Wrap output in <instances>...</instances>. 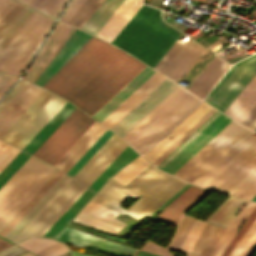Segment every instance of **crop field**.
<instances>
[{
	"label": "crop field",
	"instance_id": "crop-field-25",
	"mask_svg": "<svg viewBox=\"0 0 256 256\" xmlns=\"http://www.w3.org/2000/svg\"><path fill=\"white\" fill-rule=\"evenodd\" d=\"M97 122V121H96ZM94 123L89 130L76 142V144L62 157L55 165L64 171H68L72 165L86 152V150L99 138L107 129L98 123ZM65 172V173H66Z\"/></svg>",
	"mask_w": 256,
	"mask_h": 256
},
{
	"label": "crop field",
	"instance_id": "crop-field-5",
	"mask_svg": "<svg viewBox=\"0 0 256 256\" xmlns=\"http://www.w3.org/2000/svg\"><path fill=\"white\" fill-rule=\"evenodd\" d=\"M31 156L0 189V231L57 171Z\"/></svg>",
	"mask_w": 256,
	"mask_h": 256
},
{
	"label": "crop field",
	"instance_id": "crop-field-19",
	"mask_svg": "<svg viewBox=\"0 0 256 256\" xmlns=\"http://www.w3.org/2000/svg\"><path fill=\"white\" fill-rule=\"evenodd\" d=\"M44 91L27 83L0 112V137Z\"/></svg>",
	"mask_w": 256,
	"mask_h": 256
},
{
	"label": "crop field",
	"instance_id": "crop-field-33",
	"mask_svg": "<svg viewBox=\"0 0 256 256\" xmlns=\"http://www.w3.org/2000/svg\"><path fill=\"white\" fill-rule=\"evenodd\" d=\"M256 203L247 202V204L242 208V210L237 214V216L232 220L229 226L224 231L223 235L217 242L216 246L212 250L209 256H220L232 237L237 232L239 226L244 221V219L249 215V213L255 208Z\"/></svg>",
	"mask_w": 256,
	"mask_h": 256
},
{
	"label": "crop field",
	"instance_id": "crop-field-17",
	"mask_svg": "<svg viewBox=\"0 0 256 256\" xmlns=\"http://www.w3.org/2000/svg\"><path fill=\"white\" fill-rule=\"evenodd\" d=\"M74 30L75 28L63 22H58L56 28L37 55L31 68L25 74L24 79L33 82Z\"/></svg>",
	"mask_w": 256,
	"mask_h": 256
},
{
	"label": "crop field",
	"instance_id": "crop-field-14",
	"mask_svg": "<svg viewBox=\"0 0 256 256\" xmlns=\"http://www.w3.org/2000/svg\"><path fill=\"white\" fill-rule=\"evenodd\" d=\"M115 135L113 134L107 140V142L94 154V156L73 178L87 187L94 181V179L127 145Z\"/></svg>",
	"mask_w": 256,
	"mask_h": 256
},
{
	"label": "crop field",
	"instance_id": "crop-field-69",
	"mask_svg": "<svg viewBox=\"0 0 256 256\" xmlns=\"http://www.w3.org/2000/svg\"><path fill=\"white\" fill-rule=\"evenodd\" d=\"M256 184V181L246 190L244 191L240 196L239 198H241L248 190H250L254 185Z\"/></svg>",
	"mask_w": 256,
	"mask_h": 256
},
{
	"label": "crop field",
	"instance_id": "crop-field-70",
	"mask_svg": "<svg viewBox=\"0 0 256 256\" xmlns=\"http://www.w3.org/2000/svg\"><path fill=\"white\" fill-rule=\"evenodd\" d=\"M71 256H87V255H83V254H79L71 251Z\"/></svg>",
	"mask_w": 256,
	"mask_h": 256
},
{
	"label": "crop field",
	"instance_id": "crop-field-75",
	"mask_svg": "<svg viewBox=\"0 0 256 256\" xmlns=\"http://www.w3.org/2000/svg\"><path fill=\"white\" fill-rule=\"evenodd\" d=\"M253 201H256V196L252 199Z\"/></svg>",
	"mask_w": 256,
	"mask_h": 256
},
{
	"label": "crop field",
	"instance_id": "crop-field-29",
	"mask_svg": "<svg viewBox=\"0 0 256 256\" xmlns=\"http://www.w3.org/2000/svg\"><path fill=\"white\" fill-rule=\"evenodd\" d=\"M138 155L139 154L127 145L88 188L97 192L113 174Z\"/></svg>",
	"mask_w": 256,
	"mask_h": 256
},
{
	"label": "crop field",
	"instance_id": "crop-field-63",
	"mask_svg": "<svg viewBox=\"0 0 256 256\" xmlns=\"http://www.w3.org/2000/svg\"><path fill=\"white\" fill-rule=\"evenodd\" d=\"M67 251H69V249H68L67 246H65V247H63V248H61V249H59V250H57V251H55V252H53V253L47 255V256H59V255L65 253V252H67Z\"/></svg>",
	"mask_w": 256,
	"mask_h": 256
},
{
	"label": "crop field",
	"instance_id": "crop-field-41",
	"mask_svg": "<svg viewBox=\"0 0 256 256\" xmlns=\"http://www.w3.org/2000/svg\"><path fill=\"white\" fill-rule=\"evenodd\" d=\"M193 221H194L193 218H189L185 216L183 217L169 247L179 249Z\"/></svg>",
	"mask_w": 256,
	"mask_h": 256
},
{
	"label": "crop field",
	"instance_id": "crop-field-71",
	"mask_svg": "<svg viewBox=\"0 0 256 256\" xmlns=\"http://www.w3.org/2000/svg\"><path fill=\"white\" fill-rule=\"evenodd\" d=\"M202 34H204V33H202L201 31L200 32H198L197 34H195L192 38H197V37H199V36H201Z\"/></svg>",
	"mask_w": 256,
	"mask_h": 256
},
{
	"label": "crop field",
	"instance_id": "crop-field-52",
	"mask_svg": "<svg viewBox=\"0 0 256 256\" xmlns=\"http://www.w3.org/2000/svg\"><path fill=\"white\" fill-rule=\"evenodd\" d=\"M224 230H225L224 227L218 226L215 233L211 237L210 241L208 242V244L204 248L203 252L201 253L202 256H208L209 255V253L213 249L214 245L216 244V242L218 241V239L220 238V236H221V234L223 233Z\"/></svg>",
	"mask_w": 256,
	"mask_h": 256
},
{
	"label": "crop field",
	"instance_id": "crop-field-61",
	"mask_svg": "<svg viewBox=\"0 0 256 256\" xmlns=\"http://www.w3.org/2000/svg\"><path fill=\"white\" fill-rule=\"evenodd\" d=\"M17 80V78L12 77L6 85L0 90V98L2 95L14 84V82Z\"/></svg>",
	"mask_w": 256,
	"mask_h": 256
},
{
	"label": "crop field",
	"instance_id": "crop-field-22",
	"mask_svg": "<svg viewBox=\"0 0 256 256\" xmlns=\"http://www.w3.org/2000/svg\"><path fill=\"white\" fill-rule=\"evenodd\" d=\"M208 192V190L191 185L165 207L156 220L177 226L182 214Z\"/></svg>",
	"mask_w": 256,
	"mask_h": 256
},
{
	"label": "crop field",
	"instance_id": "crop-field-51",
	"mask_svg": "<svg viewBox=\"0 0 256 256\" xmlns=\"http://www.w3.org/2000/svg\"><path fill=\"white\" fill-rule=\"evenodd\" d=\"M143 249V248H142ZM143 251H147L150 253H154L161 256H172L167 248L160 246L156 243L149 241L147 245L144 247Z\"/></svg>",
	"mask_w": 256,
	"mask_h": 256
},
{
	"label": "crop field",
	"instance_id": "crop-field-35",
	"mask_svg": "<svg viewBox=\"0 0 256 256\" xmlns=\"http://www.w3.org/2000/svg\"><path fill=\"white\" fill-rule=\"evenodd\" d=\"M52 18H57L67 0H18Z\"/></svg>",
	"mask_w": 256,
	"mask_h": 256
},
{
	"label": "crop field",
	"instance_id": "crop-field-46",
	"mask_svg": "<svg viewBox=\"0 0 256 256\" xmlns=\"http://www.w3.org/2000/svg\"><path fill=\"white\" fill-rule=\"evenodd\" d=\"M256 218V208L250 213V215L246 218L245 222L241 226V228L238 230L234 238L231 240L225 251L221 256H227L231 249L234 247V245L237 243V241L240 239V237L244 234V232L247 230V228L251 225V223Z\"/></svg>",
	"mask_w": 256,
	"mask_h": 256
},
{
	"label": "crop field",
	"instance_id": "crop-field-60",
	"mask_svg": "<svg viewBox=\"0 0 256 256\" xmlns=\"http://www.w3.org/2000/svg\"><path fill=\"white\" fill-rule=\"evenodd\" d=\"M17 2L11 1L1 12H0V19L4 17L15 5Z\"/></svg>",
	"mask_w": 256,
	"mask_h": 256
},
{
	"label": "crop field",
	"instance_id": "crop-field-45",
	"mask_svg": "<svg viewBox=\"0 0 256 256\" xmlns=\"http://www.w3.org/2000/svg\"><path fill=\"white\" fill-rule=\"evenodd\" d=\"M55 242L57 241L50 240V239H42V238H30L17 245L35 253Z\"/></svg>",
	"mask_w": 256,
	"mask_h": 256
},
{
	"label": "crop field",
	"instance_id": "crop-field-21",
	"mask_svg": "<svg viewBox=\"0 0 256 256\" xmlns=\"http://www.w3.org/2000/svg\"><path fill=\"white\" fill-rule=\"evenodd\" d=\"M117 215L118 213L90 201L73 221L116 234L126 225L114 218Z\"/></svg>",
	"mask_w": 256,
	"mask_h": 256
},
{
	"label": "crop field",
	"instance_id": "crop-field-15",
	"mask_svg": "<svg viewBox=\"0 0 256 256\" xmlns=\"http://www.w3.org/2000/svg\"><path fill=\"white\" fill-rule=\"evenodd\" d=\"M256 165V141L206 188L225 194Z\"/></svg>",
	"mask_w": 256,
	"mask_h": 256
},
{
	"label": "crop field",
	"instance_id": "crop-field-6",
	"mask_svg": "<svg viewBox=\"0 0 256 256\" xmlns=\"http://www.w3.org/2000/svg\"><path fill=\"white\" fill-rule=\"evenodd\" d=\"M244 130V127L231 120L181 168H179L174 175L189 181ZM250 133L251 131L246 129L189 182L195 184Z\"/></svg>",
	"mask_w": 256,
	"mask_h": 256
},
{
	"label": "crop field",
	"instance_id": "crop-field-13",
	"mask_svg": "<svg viewBox=\"0 0 256 256\" xmlns=\"http://www.w3.org/2000/svg\"><path fill=\"white\" fill-rule=\"evenodd\" d=\"M177 86L165 78L110 129L122 138Z\"/></svg>",
	"mask_w": 256,
	"mask_h": 256
},
{
	"label": "crop field",
	"instance_id": "crop-field-67",
	"mask_svg": "<svg viewBox=\"0 0 256 256\" xmlns=\"http://www.w3.org/2000/svg\"><path fill=\"white\" fill-rule=\"evenodd\" d=\"M11 0H0V11L10 2Z\"/></svg>",
	"mask_w": 256,
	"mask_h": 256
},
{
	"label": "crop field",
	"instance_id": "crop-field-65",
	"mask_svg": "<svg viewBox=\"0 0 256 256\" xmlns=\"http://www.w3.org/2000/svg\"><path fill=\"white\" fill-rule=\"evenodd\" d=\"M11 245H12V244H10V243H8V242H6V241L0 239V250L5 249V248H7V247H9V246H11Z\"/></svg>",
	"mask_w": 256,
	"mask_h": 256
},
{
	"label": "crop field",
	"instance_id": "crop-field-23",
	"mask_svg": "<svg viewBox=\"0 0 256 256\" xmlns=\"http://www.w3.org/2000/svg\"><path fill=\"white\" fill-rule=\"evenodd\" d=\"M204 48L190 38L161 73L177 82Z\"/></svg>",
	"mask_w": 256,
	"mask_h": 256
},
{
	"label": "crop field",
	"instance_id": "crop-field-1",
	"mask_svg": "<svg viewBox=\"0 0 256 256\" xmlns=\"http://www.w3.org/2000/svg\"><path fill=\"white\" fill-rule=\"evenodd\" d=\"M145 66L93 36L44 88L92 116Z\"/></svg>",
	"mask_w": 256,
	"mask_h": 256
},
{
	"label": "crop field",
	"instance_id": "crop-field-64",
	"mask_svg": "<svg viewBox=\"0 0 256 256\" xmlns=\"http://www.w3.org/2000/svg\"><path fill=\"white\" fill-rule=\"evenodd\" d=\"M11 78V76H8L4 74L2 78L0 79V89L5 85V83Z\"/></svg>",
	"mask_w": 256,
	"mask_h": 256
},
{
	"label": "crop field",
	"instance_id": "crop-field-54",
	"mask_svg": "<svg viewBox=\"0 0 256 256\" xmlns=\"http://www.w3.org/2000/svg\"><path fill=\"white\" fill-rule=\"evenodd\" d=\"M26 84L24 81H20L12 91L0 102V111L4 106L19 92V90Z\"/></svg>",
	"mask_w": 256,
	"mask_h": 256
},
{
	"label": "crop field",
	"instance_id": "crop-field-76",
	"mask_svg": "<svg viewBox=\"0 0 256 256\" xmlns=\"http://www.w3.org/2000/svg\"><path fill=\"white\" fill-rule=\"evenodd\" d=\"M253 130H256V125H255V127L253 128Z\"/></svg>",
	"mask_w": 256,
	"mask_h": 256
},
{
	"label": "crop field",
	"instance_id": "crop-field-12",
	"mask_svg": "<svg viewBox=\"0 0 256 256\" xmlns=\"http://www.w3.org/2000/svg\"><path fill=\"white\" fill-rule=\"evenodd\" d=\"M230 120L217 111L157 167L173 174Z\"/></svg>",
	"mask_w": 256,
	"mask_h": 256
},
{
	"label": "crop field",
	"instance_id": "crop-field-73",
	"mask_svg": "<svg viewBox=\"0 0 256 256\" xmlns=\"http://www.w3.org/2000/svg\"><path fill=\"white\" fill-rule=\"evenodd\" d=\"M172 250H174V249H172ZM183 253H185V252H183ZM185 254H187V256H196V255H192V254H188V253H185Z\"/></svg>",
	"mask_w": 256,
	"mask_h": 256
},
{
	"label": "crop field",
	"instance_id": "crop-field-50",
	"mask_svg": "<svg viewBox=\"0 0 256 256\" xmlns=\"http://www.w3.org/2000/svg\"><path fill=\"white\" fill-rule=\"evenodd\" d=\"M19 152V150L5 145L0 150V171L13 159V157Z\"/></svg>",
	"mask_w": 256,
	"mask_h": 256
},
{
	"label": "crop field",
	"instance_id": "crop-field-42",
	"mask_svg": "<svg viewBox=\"0 0 256 256\" xmlns=\"http://www.w3.org/2000/svg\"><path fill=\"white\" fill-rule=\"evenodd\" d=\"M255 180H256V166L247 175H245L233 188H231L226 194L238 197Z\"/></svg>",
	"mask_w": 256,
	"mask_h": 256
},
{
	"label": "crop field",
	"instance_id": "crop-field-74",
	"mask_svg": "<svg viewBox=\"0 0 256 256\" xmlns=\"http://www.w3.org/2000/svg\"><path fill=\"white\" fill-rule=\"evenodd\" d=\"M22 256H32V255H30V254H24V255H22Z\"/></svg>",
	"mask_w": 256,
	"mask_h": 256
},
{
	"label": "crop field",
	"instance_id": "crop-field-38",
	"mask_svg": "<svg viewBox=\"0 0 256 256\" xmlns=\"http://www.w3.org/2000/svg\"><path fill=\"white\" fill-rule=\"evenodd\" d=\"M149 164L150 163L139 156L112 178L125 185Z\"/></svg>",
	"mask_w": 256,
	"mask_h": 256
},
{
	"label": "crop field",
	"instance_id": "crop-field-34",
	"mask_svg": "<svg viewBox=\"0 0 256 256\" xmlns=\"http://www.w3.org/2000/svg\"><path fill=\"white\" fill-rule=\"evenodd\" d=\"M94 194L87 188L43 236L54 238Z\"/></svg>",
	"mask_w": 256,
	"mask_h": 256
},
{
	"label": "crop field",
	"instance_id": "crop-field-68",
	"mask_svg": "<svg viewBox=\"0 0 256 256\" xmlns=\"http://www.w3.org/2000/svg\"><path fill=\"white\" fill-rule=\"evenodd\" d=\"M225 39V37H222V38H220L219 40H217L216 42H214L212 45H210L209 47H207V48H212L213 46H215L216 44H218L219 42H221L222 40H224Z\"/></svg>",
	"mask_w": 256,
	"mask_h": 256
},
{
	"label": "crop field",
	"instance_id": "crop-field-53",
	"mask_svg": "<svg viewBox=\"0 0 256 256\" xmlns=\"http://www.w3.org/2000/svg\"><path fill=\"white\" fill-rule=\"evenodd\" d=\"M84 1L85 0H72L62 15L61 20L67 22Z\"/></svg>",
	"mask_w": 256,
	"mask_h": 256
},
{
	"label": "crop field",
	"instance_id": "crop-field-36",
	"mask_svg": "<svg viewBox=\"0 0 256 256\" xmlns=\"http://www.w3.org/2000/svg\"><path fill=\"white\" fill-rule=\"evenodd\" d=\"M62 174L63 173L58 170L52 176V178L37 192V194L22 208V210L7 224V226L0 232V234L4 236Z\"/></svg>",
	"mask_w": 256,
	"mask_h": 256
},
{
	"label": "crop field",
	"instance_id": "crop-field-72",
	"mask_svg": "<svg viewBox=\"0 0 256 256\" xmlns=\"http://www.w3.org/2000/svg\"><path fill=\"white\" fill-rule=\"evenodd\" d=\"M6 143L0 141V149L5 145Z\"/></svg>",
	"mask_w": 256,
	"mask_h": 256
},
{
	"label": "crop field",
	"instance_id": "crop-field-2",
	"mask_svg": "<svg viewBox=\"0 0 256 256\" xmlns=\"http://www.w3.org/2000/svg\"><path fill=\"white\" fill-rule=\"evenodd\" d=\"M184 182L150 164L125 186L111 178L92 201L121 214L125 212L140 219L144 214L150 216L156 211L186 185L187 182ZM127 197L132 200L140 198L126 210L119 205Z\"/></svg>",
	"mask_w": 256,
	"mask_h": 256
},
{
	"label": "crop field",
	"instance_id": "crop-field-55",
	"mask_svg": "<svg viewBox=\"0 0 256 256\" xmlns=\"http://www.w3.org/2000/svg\"><path fill=\"white\" fill-rule=\"evenodd\" d=\"M249 128H253L256 124V106L254 109L249 113V115L244 119V121L241 123Z\"/></svg>",
	"mask_w": 256,
	"mask_h": 256
},
{
	"label": "crop field",
	"instance_id": "crop-field-56",
	"mask_svg": "<svg viewBox=\"0 0 256 256\" xmlns=\"http://www.w3.org/2000/svg\"><path fill=\"white\" fill-rule=\"evenodd\" d=\"M23 5L17 4L4 18L0 20V28L9 20L11 19L21 8Z\"/></svg>",
	"mask_w": 256,
	"mask_h": 256
},
{
	"label": "crop field",
	"instance_id": "crop-field-24",
	"mask_svg": "<svg viewBox=\"0 0 256 256\" xmlns=\"http://www.w3.org/2000/svg\"><path fill=\"white\" fill-rule=\"evenodd\" d=\"M70 179L63 174L4 237L13 241Z\"/></svg>",
	"mask_w": 256,
	"mask_h": 256
},
{
	"label": "crop field",
	"instance_id": "crop-field-59",
	"mask_svg": "<svg viewBox=\"0 0 256 256\" xmlns=\"http://www.w3.org/2000/svg\"><path fill=\"white\" fill-rule=\"evenodd\" d=\"M25 252L24 250L14 246L8 250H5L3 252L0 253V256H17L21 253Z\"/></svg>",
	"mask_w": 256,
	"mask_h": 256
},
{
	"label": "crop field",
	"instance_id": "crop-field-3",
	"mask_svg": "<svg viewBox=\"0 0 256 256\" xmlns=\"http://www.w3.org/2000/svg\"><path fill=\"white\" fill-rule=\"evenodd\" d=\"M181 34L163 22L160 10L142 5L112 44L153 68Z\"/></svg>",
	"mask_w": 256,
	"mask_h": 256
},
{
	"label": "crop field",
	"instance_id": "crop-field-20",
	"mask_svg": "<svg viewBox=\"0 0 256 256\" xmlns=\"http://www.w3.org/2000/svg\"><path fill=\"white\" fill-rule=\"evenodd\" d=\"M212 108L213 107L202 102L162 140H160L150 151H148L144 157L153 163Z\"/></svg>",
	"mask_w": 256,
	"mask_h": 256
},
{
	"label": "crop field",
	"instance_id": "crop-field-39",
	"mask_svg": "<svg viewBox=\"0 0 256 256\" xmlns=\"http://www.w3.org/2000/svg\"><path fill=\"white\" fill-rule=\"evenodd\" d=\"M112 134L113 132L107 129L66 174L73 177Z\"/></svg>",
	"mask_w": 256,
	"mask_h": 256
},
{
	"label": "crop field",
	"instance_id": "crop-field-9",
	"mask_svg": "<svg viewBox=\"0 0 256 256\" xmlns=\"http://www.w3.org/2000/svg\"><path fill=\"white\" fill-rule=\"evenodd\" d=\"M95 121L76 108L32 155L54 165Z\"/></svg>",
	"mask_w": 256,
	"mask_h": 256
},
{
	"label": "crop field",
	"instance_id": "crop-field-10",
	"mask_svg": "<svg viewBox=\"0 0 256 256\" xmlns=\"http://www.w3.org/2000/svg\"><path fill=\"white\" fill-rule=\"evenodd\" d=\"M255 74L256 55L233 65L205 100L224 112Z\"/></svg>",
	"mask_w": 256,
	"mask_h": 256
},
{
	"label": "crop field",
	"instance_id": "crop-field-30",
	"mask_svg": "<svg viewBox=\"0 0 256 256\" xmlns=\"http://www.w3.org/2000/svg\"><path fill=\"white\" fill-rule=\"evenodd\" d=\"M123 1L124 0H105L85 23L82 29L96 35Z\"/></svg>",
	"mask_w": 256,
	"mask_h": 256
},
{
	"label": "crop field",
	"instance_id": "crop-field-32",
	"mask_svg": "<svg viewBox=\"0 0 256 256\" xmlns=\"http://www.w3.org/2000/svg\"><path fill=\"white\" fill-rule=\"evenodd\" d=\"M36 11L24 6L10 21L0 29V51L30 20Z\"/></svg>",
	"mask_w": 256,
	"mask_h": 256
},
{
	"label": "crop field",
	"instance_id": "crop-field-66",
	"mask_svg": "<svg viewBox=\"0 0 256 256\" xmlns=\"http://www.w3.org/2000/svg\"><path fill=\"white\" fill-rule=\"evenodd\" d=\"M256 234V230L254 231V233L249 237V239L244 243V245L241 247V249L238 251V253L236 254V256H239V254L241 253V251L243 250V248L247 245V243L252 239V237Z\"/></svg>",
	"mask_w": 256,
	"mask_h": 256
},
{
	"label": "crop field",
	"instance_id": "crop-field-49",
	"mask_svg": "<svg viewBox=\"0 0 256 256\" xmlns=\"http://www.w3.org/2000/svg\"><path fill=\"white\" fill-rule=\"evenodd\" d=\"M246 200L238 199L235 204L228 210V212L220 219L217 225L225 226L231 222L235 214L241 209V207L246 203Z\"/></svg>",
	"mask_w": 256,
	"mask_h": 256
},
{
	"label": "crop field",
	"instance_id": "crop-field-7",
	"mask_svg": "<svg viewBox=\"0 0 256 256\" xmlns=\"http://www.w3.org/2000/svg\"><path fill=\"white\" fill-rule=\"evenodd\" d=\"M53 21L37 12L0 52V71L19 77Z\"/></svg>",
	"mask_w": 256,
	"mask_h": 256
},
{
	"label": "crop field",
	"instance_id": "crop-field-44",
	"mask_svg": "<svg viewBox=\"0 0 256 256\" xmlns=\"http://www.w3.org/2000/svg\"><path fill=\"white\" fill-rule=\"evenodd\" d=\"M216 228V225L206 223L199 238L197 239L195 245L193 246L191 253L200 255V253L202 252L203 248L207 244L208 240L210 239Z\"/></svg>",
	"mask_w": 256,
	"mask_h": 256
},
{
	"label": "crop field",
	"instance_id": "crop-field-4",
	"mask_svg": "<svg viewBox=\"0 0 256 256\" xmlns=\"http://www.w3.org/2000/svg\"><path fill=\"white\" fill-rule=\"evenodd\" d=\"M184 91L178 86L122 139L143 154L201 101Z\"/></svg>",
	"mask_w": 256,
	"mask_h": 256
},
{
	"label": "crop field",
	"instance_id": "crop-field-16",
	"mask_svg": "<svg viewBox=\"0 0 256 256\" xmlns=\"http://www.w3.org/2000/svg\"><path fill=\"white\" fill-rule=\"evenodd\" d=\"M73 229L65 227L55 239L120 256H135L138 252V249L124 246Z\"/></svg>",
	"mask_w": 256,
	"mask_h": 256
},
{
	"label": "crop field",
	"instance_id": "crop-field-8",
	"mask_svg": "<svg viewBox=\"0 0 256 256\" xmlns=\"http://www.w3.org/2000/svg\"><path fill=\"white\" fill-rule=\"evenodd\" d=\"M65 102L45 90L0 139L22 149Z\"/></svg>",
	"mask_w": 256,
	"mask_h": 256
},
{
	"label": "crop field",
	"instance_id": "crop-field-58",
	"mask_svg": "<svg viewBox=\"0 0 256 256\" xmlns=\"http://www.w3.org/2000/svg\"><path fill=\"white\" fill-rule=\"evenodd\" d=\"M63 246H64L63 244L57 242V243H55V244H53V245H51V246H49V247H47V248L37 252L35 254H37L38 256H45V255H47V254H49V253H51V252H53V251L63 247Z\"/></svg>",
	"mask_w": 256,
	"mask_h": 256
},
{
	"label": "crop field",
	"instance_id": "crop-field-43",
	"mask_svg": "<svg viewBox=\"0 0 256 256\" xmlns=\"http://www.w3.org/2000/svg\"><path fill=\"white\" fill-rule=\"evenodd\" d=\"M217 110L214 108L206 114L196 125H194L184 136H182L172 147H170L160 158H158L153 164L156 166L164 160L174 149H176L186 138H188L198 127H200L210 116H212Z\"/></svg>",
	"mask_w": 256,
	"mask_h": 256
},
{
	"label": "crop field",
	"instance_id": "crop-field-26",
	"mask_svg": "<svg viewBox=\"0 0 256 256\" xmlns=\"http://www.w3.org/2000/svg\"><path fill=\"white\" fill-rule=\"evenodd\" d=\"M154 72V70L146 66L92 117L101 122Z\"/></svg>",
	"mask_w": 256,
	"mask_h": 256
},
{
	"label": "crop field",
	"instance_id": "crop-field-31",
	"mask_svg": "<svg viewBox=\"0 0 256 256\" xmlns=\"http://www.w3.org/2000/svg\"><path fill=\"white\" fill-rule=\"evenodd\" d=\"M255 140H256V133L252 132L236 148H234L224 159H222L213 169H211L201 180H199L196 183V185L200 184L203 187H205L221 171H223L233 160H235L244 150H246Z\"/></svg>",
	"mask_w": 256,
	"mask_h": 256
},
{
	"label": "crop field",
	"instance_id": "crop-field-11",
	"mask_svg": "<svg viewBox=\"0 0 256 256\" xmlns=\"http://www.w3.org/2000/svg\"><path fill=\"white\" fill-rule=\"evenodd\" d=\"M85 189V186L71 179L14 242L27 237L42 236Z\"/></svg>",
	"mask_w": 256,
	"mask_h": 256
},
{
	"label": "crop field",
	"instance_id": "crop-field-37",
	"mask_svg": "<svg viewBox=\"0 0 256 256\" xmlns=\"http://www.w3.org/2000/svg\"><path fill=\"white\" fill-rule=\"evenodd\" d=\"M103 1L104 0H86L70 18L68 23L81 28Z\"/></svg>",
	"mask_w": 256,
	"mask_h": 256
},
{
	"label": "crop field",
	"instance_id": "crop-field-27",
	"mask_svg": "<svg viewBox=\"0 0 256 256\" xmlns=\"http://www.w3.org/2000/svg\"><path fill=\"white\" fill-rule=\"evenodd\" d=\"M256 105V75L232 102V104L224 112L238 122L243 119Z\"/></svg>",
	"mask_w": 256,
	"mask_h": 256
},
{
	"label": "crop field",
	"instance_id": "crop-field-57",
	"mask_svg": "<svg viewBox=\"0 0 256 256\" xmlns=\"http://www.w3.org/2000/svg\"><path fill=\"white\" fill-rule=\"evenodd\" d=\"M256 248V235L253 237V239L248 243V245L244 248L240 256H250V254L254 251Z\"/></svg>",
	"mask_w": 256,
	"mask_h": 256
},
{
	"label": "crop field",
	"instance_id": "crop-field-48",
	"mask_svg": "<svg viewBox=\"0 0 256 256\" xmlns=\"http://www.w3.org/2000/svg\"><path fill=\"white\" fill-rule=\"evenodd\" d=\"M183 45L184 43L177 40L175 44L169 49V51L156 64L154 69L161 72L163 68L169 63V61L175 56V54L181 49Z\"/></svg>",
	"mask_w": 256,
	"mask_h": 256
},
{
	"label": "crop field",
	"instance_id": "crop-field-28",
	"mask_svg": "<svg viewBox=\"0 0 256 256\" xmlns=\"http://www.w3.org/2000/svg\"><path fill=\"white\" fill-rule=\"evenodd\" d=\"M75 108L76 107L66 102L45 124V126L30 140L23 150L32 154Z\"/></svg>",
	"mask_w": 256,
	"mask_h": 256
},
{
	"label": "crop field",
	"instance_id": "crop-field-78",
	"mask_svg": "<svg viewBox=\"0 0 256 256\" xmlns=\"http://www.w3.org/2000/svg\"><path fill=\"white\" fill-rule=\"evenodd\" d=\"M204 1V0H203Z\"/></svg>",
	"mask_w": 256,
	"mask_h": 256
},
{
	"label": "crop field",
	"instance_id": "crop-field-40",
	"mask_svg": "<svg viewBox=\"0 0 256 256\" xmlns=\"http://www.w3.org/2000/svg\"><path fill=\"white\" fill-rule=\"evenodd\" d=\"M30 155L20 151L14 159L0 172V188L23 165Z\"/></svg>",
	"mask_w": 256,
	"mask_h": 256
},
{
	"label": "crop field",
	"instance_id": "crop-field-47",
	"mask_svg": "<svg viewBox=\"0 0 256 256\" xmlns=\"http://www.w3.org/2000/svg\"><path fill=\"white\" fill-rule=\"evenodd\" d=\"M236 198L228 197L207 219L211 223L216 224L226 211L234 204Z\"/></svg>",
	"mask_w": 256,
	"mask_h": 256
},
{
	"label": "crop field",
	"instance_id": "crop-field-62",
	"mask_svg": "<svg viewBox=\"0 0 256 256\" xmlns=\"http://www.w3.org/2000/svg\"><path fill=\"white\" fill-rule=\"evenodd\" d=\"M255 195H256V185L249 192H247L242 198L251 200Z\"/></svg>",
	"mask_w": 256,
	"mask_h": 256
},
{
	"label": "crop field",
	"instance_id": "crop-field-18",
	"mask_svg": "<svg viewBox=\"0 0 256 256\" xmlns=\"http://www.w3.org/2000/svg\"><path fill=\"white\" fill-rule=\"evenodd\" d=\"M91 37L92 35L76 29L34 83L43 86Z\"/></svg>",
	"mask_w": 256,
	"mask_h": 256
},
{
	"label": "crop field",
	"instance_id": "crop-field-77",
	"mask_svg": "<svg viewBox=\"0 0 256 256\" xmlns=\"http://www.w3.org/2000/svg\"><path fill=\"white\" fill-rule=\"evenodd\" d=\"M0 75H1V73H0Z\"/></svg>",
	"mask_w": 256,
	"mask_h": 256
}]
</instances>
